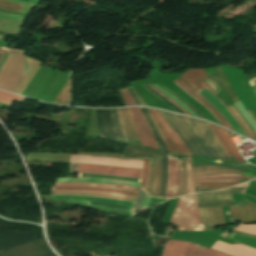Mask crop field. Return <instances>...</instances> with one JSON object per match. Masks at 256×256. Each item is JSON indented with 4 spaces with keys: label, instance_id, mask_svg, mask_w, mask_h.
I'll return each mask as SVG.
<instances>
[{
    "label": "crop field",
    "instance_id": "8a807250",
    "mask_svg": "<svg viewBox=\"0 0 256 256\" xmlns=\"http://www.w3.org/2000/svg\"><path fill=\"white\" fill-rule=\"evenodd\" d=\"M158 112L182 139L190 153L229 160L206 122L159 110Z\"/></svg>",
    "mask_w": 256,
    "mask_h": 256
},
{
    "label": "crop field",
    "instance_id": "ac0d7876",
    "mask_svg": "<svg viewBox=\"0 0 256 256\" xmlns=\"http://www.w3.org/2000/svg\"><path fill=\"white\" fill-rule=\"evenodd\" d=\"M34 63L23 54H9L0 71V89L14 93Z\"/></svg>",
    "mask_w": 256,
    "mask_h": 256
},
{
    "label": "crop field",
    "instance_id": "34b2d1b8",
    "mask_svg": "<svg viewBox=\"0 0 256 256\" xmlns=\"http://www.w3.org/2000/svg\"><path fill=\"white\" fill-rule=\"evenodd\" d=\"M170 222L179 226L178 230H204L196 204V194L180 197Z\"/></svg>",
    "mask_w": 256,
    "mask_h": 256
},
{
    "label": "crop field",
    "instance_id": "412701ff",
    "mask_svg": "<svg viewBox=\"0 0 256 256\" xmlns=\"http://www.w3.org/2000/svg\"><path fill=\"white\" fill-rule=\"evenodd\" d=\"M161 256H231L219 251H215L201 245L168 240Z\"/></svg>",
    "mask_w": 256,
    "mask_h": 256
},
{
    "label": "crop field",
    "instance_id": "f4fd0767",
    "mask_svg": "<svg viewBox=\"0 0 256 256\" xmlns=\"http://www.w3.org/2000/svg\"><path fill=\"white\" fill-rule=\"evenodd\" d=\"M74 164H70V172H74ZM75 171L86 172V173H98V174H108L115 176H126L141 178L142 170L131 169V168H117V167H106L100 165H89V164H79L75 165Z\"/></svg>",
    "mask_w": 256,
    "mask_h": 256
},
{
    "label": "crop field",
    "instance_id": "dd49c442",
    "mask_svg": "<svg viewBox=\"0 0 256 256\" xmlns=\"http://www.w3.org/2000/svg\"><path fill=\"white\" fill-rule=\"evenodd\" d=\"M55 199L89 202L92 205L111 207L132 211L134 203L117 199H105L97 197L53 195Z\"/></svg>",
    "mask_w": 256,
    "mask_h": 256
},
{
    "label": "crop field",
    "instance_id": "e52e79f7",
    "mask_svg": "<svg viewBox=\"0 0 256 256\" xmlns=\"http://www.w3.org/2000/svg\"><path fill=\"white\" fill-rule=\"evenodd\" d=\"M70 162L142 168V161H136V160H124V159H112V158H100V157L71 155Z\"/></svg>",
    "mask_w": 256,
    "mask_h": 256
},
{
    "label": "crop field",
    "instance_id": "d8731c3e",
    "mask_svg": "<svg viewBox=\"0 0 256 256\" xmlns=\"http://www.w3.org/2000/svg\"><path fill=\"white\" fill-rule=\"evenodd\" d=\"M139 135L140 143L143 146L156 147L153 135L140 110V108H130Z\"/></svg>",
    "mask_w": 256,
    "mask_h": 256
},
{
    "label": "crop field",
    "instance_id": "5a996713",
    "mask_svg": "<svg viewBox=\"0 0 256 256\" xmlns=\"http://www.w3.org/2000/svg\"><path fill=\"white\" fill-rule=\"evenodd\" d=\"M173 82L209 110L222 126L231 129L223 117L182 76Z\"/></svg>",
    "mask_w": 256,
    "mask_h": 256
},
{
    "label": "crop field",
    "instance_id": "3316defc",
    "mask_svg": "<svg viewBox=\"0 0 256 256\" xmlns=\"http://www.w3.org/2000/svg\"><path fill=\"white\" fill-rule=\"evenodd\" d=\"M202 223L206 230H214L215 226L225 225L222 207L198 208Z\"/></svg>",
    "mask_w": 256,
    "mask_h": 256
},
{
    "label": "crop field",
    "instance_id": "28ad6ade",
    "mask_svg": "<svg viewBox=\"0 0 256 256\" xmlns=\"http://www.w3.org/2000/svg\"><path fill=\"white\" fill-rule=\"evenodd\" d=\"M192 166H199V165H215V166H226L234 169H241L242 172L252 173L253 168L247 167H233L231 165H221L217 163H210L204 162L196 159L195 157H191ZM225 167H214V166H200V167H192L193 174L195 173H202V172H210V171H241V170H234Z\"/></svg>",
    "mask_w": 256,
    "mask_h": 256
},
{
    "label": "crop field",
    "instance_id": "d1516ede",
    "mask_svg": "<svg viewBox=\"0 0 256 256\" xmlns=\"http://www.w3.org/2000/svg\"><path fill=\"white\" fill-rule=\"evenodd\" d=\"M200 93L213 106H215L220 111V113L224 116V118L232 126V128L235 130V132L247 137V135L244 133V131L241 129V127L237 124V122L233 119V117L230 115V113L227 111V109L218 101V99L210 92V90L208 88L200 91Z\"/></svg>",
    "mask_w": 256,
    "mask_h": 256
},
{
    "label": "crop field",
    "instance_id": "22f410ed",
    "mask_svg": "<svg viewBox=\"0 0 256 256\" xmlns=\"http://www.w3.org/2000/svg\"><path fill=\"white\" fill-rule=\"evenodd\" d=\"M212 248L234 256H256V250L242 244L227 245L223 242L217 241Z\"/></svg>",
    "mask_w": 256,
    "mask_h": 256
},
{
    "label": "crop field",
    "instance_id": "cbeb9de0",
    "mask_svg": "<svg viewBox=\"0 0 256 256\" xmlns=\"http://www.w3.org/2000/svg\"><path fill=\"white\" fill-rule=\"evenodd\" d=\"M126 141L138 140L129 108L118 109Z\"/></svg>",
    "mask_w": 256,
    "mask_h": 256
},
{
    "label": "crop field",
    "instance_id": "5142ce71",
    "mask_svg": "<svg viewBox=\"0 0 256 256\" xmlns=\"http://www.w3.org/2000/svg\"><path fill=\"white\" fill-rule=\"evenodd\" d=\"M244 201L250 205L230 207L232 219H242V221L256 220V205L246 200Z\"/></svg>",
    "mask_w": 256,
    "mask_h": 256
},
{
    "label": "crop field",
    "instance_id": "d9b57169",
    "mask_svg": "<svg viewBox=\"0 0 256 256\" xmlns=\"http://www.w3.org/2000/svg\"><path fill=\"white\" fill-rule=\"evenodd\" d=\"M52 190H53V187H52ZM54 190H91V191L119 193V194L134 195V196H137V194H138L135 192H129V191H123V190L106 189V188H91V187H57V188H54ZM143 194H144V192L142 190H140L136 203L140 204ZM138 207H139V205L135 204L133 210L138 209ZM137 211L138 210L133 211V213H136Z\"/></svg>",
    "mask_w": 256,
    "mask_h": 256
},
{
    "label": "crop field",
    "instance_id": "733c2abd",
    "mask_svg": "<svg viewBox=\"0 0 256 256\" xmlns=\"http://www.w3.org/2000/svg\"><path fill=\"white\" fill-rule=\"evenodd\" d=\"M52 194L90 195V196L105 197V198H117L122 200L133 201V202H135L137 198L134 196L108 194V193H101V192H90V191H52Z\"/></svg>",
    "mask_w": 256,
    "mask_h": 256
},
{
    "label": "crop field",
    "instance_id": "4a817a6b",
    "mask_svg": "<svg viewBox=\"0 0 256 256\" xmlns=\"http://www.w3.org/2000/svg\"><path fill=\"white\" fill-rule=\"evenodd\" d=\"M147 111L149 112V114L151 115L154 123L156 124V126L158 127L171 155L173 156H180V152L178 151L176 145L174 144V142L172 141L171 137L169 136V134L167 133L166 129L164 128V126L158 121V119L156 118V116L153 114V112L151 111V109L146 108Z\"/></svg>",
    "mask_w": 256,
    "mask_h": 256
},
{
    "label": "crop field",
    "instance_id": "bc2a9ffb",
    "mask_svg": "<svg viewBox=\"0 0 256 256\" xmlns=\"http://www.w3.org/2000/svg\"><path fill=\"white\" fill-rule=\"evenodd\" d=\"M197 91L206 88L199 80L207 78L208 75L204 70H188L182 75Z\"/></svg>",
    "mask_w": 256,
    "mask_h": 256
},
{
    "label": "crop field",
    "instance_id": "214f88e0",
    "mask_svg": "<svg viewBox=\"0 0 256 256\" xmlns=\"http://www.w3.org/2000/svg\"><path fill=\"white\" fill-rule=\"evenodd\" d=\"M159 151L152 148H145V147H137L133 145L127 146L124 156H133V157H146V156H157L160 155Z\"/></svg>",
    "mask_w": 256,
    "mask_h": 256
},
{
    "label": "crop field",
    "instance_id": "92a150f3",
    "mask_svg": "<svg viewBox=\"0 0 256 256\" xmlns=\"http://www.w3.org/2000/svg\"><path fill=\"white\" fill-rule=\"evenodd\" d=\"M57 182H104L112 184H123L139 188V183L124 182L111 179H94V178H58Z\"/></svg>",
    "mask_w": 256,
    "mask_h": 256
},
{
    "label": "crop field",
    "instance_id": "dafd665d",
    "mask_svg": "<svg viewBox=\"0 0 256 256\" xmlns=\"http://www.w3.org/2000/svg\"><path fill=\"white\" fill-rule=\"evenodd\" d=\"M218 130V132L220 133V135L222 136V138L224 139L226 145L228 146L229 150L231 151L232 155L234 156L236 162H239V163H244L237 147L234 145L228 131L222 129V128H219L217 126H215Z\"/></svg>",
    "mask_w": 256,
    "mask_h": 256
},
{
    "label": "crop field",
    "instance_id": "00972430",
    "mask_svg": "<svg viewBox=\"0 0 256 256\" xmlns=\"http://www.w3.org/2000/svg\"><path fill=\"white\" fill-rule=\"evenodd\" d=\"M176 169V158L168 156V183L166 197H172L174 191V179Z\"/></svg>",
    "mask_w": 256,
    "mask_h": 256
},
{
    "label": "crop field",
    "instance_id": "a9b5d70f",
    "mask_svg": "<svg viewBox=\"0 0 256 256\" xmlns=\"http://www.w3.org/2000/svg\"><path fill=\"white\" fill-rule=\"evenodd\" d=\"M55 186H92V187H107V188H116V189H123L129 191L138 192V188H132L122 185H112V184H90V183H55Z\"/></svg>",
    "mask_w": 256,
    "mask_h": 256
},
{
    "label": "crop field",
    "instance_id": "4177f3b9",
    "mask_svg": "<svg viewBox=\"0 0 256 256\" xmlns=\"http://www.w3.org/2000/svg\"><path fill=\"white\" fill-rule=\"evenodd\" d=\"M153 111L156 113V115L159 117V119L164 124L165 128L170 133L171 137L173 138L175 144L177 145V147H178L179 151L182 153V155H184V156H191V154L189 153L187 147L182 143V141L177 137V135L171 130V128L165 123V121L158 114V112L156 110H154V109H153Z\"/></svg>",
    "mask_w": 256,
    "mask_h": 256
},
{
    "label": "crop field",
    "instance_id": "730fd06b",
    "mask_svg": "<svg viewBox=\"0 0 256 256\" xmlns=\"http://www.w3.org/2000/svg\"><path fill=\"white\" fill-rule=\"evenodd\" d=\"M238 181L226 182H194L195 188H226L237 184Z\"/></svg>",
    "mask_w": 256,
    "mask_h": 256
},
{
    "label": "crop field",
    "instance_id": "eef30255",
    "mask_svg": "<svg viewBox=\"0 0 256 256\" xmlns=\"http://www.w3.org/2000/svg\"><path fill=\"white\" fill-rule=\"evenodd\" d=\"M166 183H167V159L166 155L162 154V177L159 190V197H165L166 192Z\"/></svg>",
    "mask_w": 256,
    "mask_h": 256
},
{
    "label": "crop field",
    "instance_id": "ae1a2a85",
    "mask_svg": "<svg viewBox=\"0 0 256 256\" xmlns=\"http://www.w3.org/2000/svg\"><path fill=\"white\" fill-rule=\"evenodd\" d=\"M154 173H155V157H150L149 176H148V181L145 189V192L149 193L150 195H152V192H153Z\"/></svg>",
    "mask_w": 256,
    "mask_h": 256
},
{
    "label": "crop field",
    "instance_id": "d3111659",
    "mask_svg": "<svg viewBox=\"0 0 256 256\" xmlns=\"http://www.w3.org/2000/svg\"><path fill=\"white\" fill-rule=\"evenodd\" d=\"M202 82L218 97V99L223 103V105L229 110V112L234 116V118L238 121V123L241 125V127L243 128V130L246 132V134L248 135L249 138L253 139V137L251 136V134L249 133V131L247 130V128L244 126V124L242 123V121L239 119V117L233 112V110L225 103V101L220 97V95L218 93H216L212 87L205 81L202 80ZM254 140V139H253Z\"/></svg>",
    "mask_w": 256,
    "mask_h": 256
},
{
    "label": "crop field",
    "instance_id": "750c4746",
    "mask_svg": "<svg viewBox=\"0 0 256 256\" xmlns=\"http://www.w3.org/2000/svg\"><path fill=\"white\" fill-rule=\"evenodd\" d=\"M241 201H197L198 207L237 205Z\"/></svg>",
    "mask_w": 256,
    "mask_h": 256
},
{
    "label": "crop field",
    "instance_id": "bd1437ed",
    "mask_svg": "<svg viewBox=\"0 0 256 256\" xmlns=\"http://www.w3.org/2000/svg\"><path fill=\"white\" fill-rule=\"evenodd\" d=\"M251 177H237V176H212L193 179L194 181H226V180H236V179H250Z\"/></svg>",
    "mask_w": 256,
    "mask_h": 256
},
{
    "label": "crop field",
    "instance_id": "1d83c4d3",
    "mask_svg": "<svg viewBox=\"0 0 256 256\" xmlns=\"http://www.w3.org/2000/svg\"><path fill=\"white\" fill-rule=\"evenodd\" d=\"M187 190V176H186V157H182V178L180 196L185 195Z\"/></svg>",
    "mask_w": 256,
    "mask_h": 256
},
{
    "label": "crop field",
    "instance_id": "120bbe31",
    "mask_svg": "<svg viewBox=\"0 0 256 256\" xmlns=\"http://www.w3.org/2000/svg\"><path fill=\"white\" fill-rule=\"evenodd\" d=\"M160 171H161V155L156 157V175H155V186L153 196L158 195L159 183H160Z\"/></svg>",
    "mask_w": 256,
    "mask_h": 256
},
{
    "label": "crop field",
    "instance_id": "d32e631a",
    "mask_svg": "<svg viewBox=\"0 0 256 256\" xmlns=\"http://www.w3.org/2000/svg\"><path fill=\"white\" fill-rule=\"evenodd\" d=\"M197 200H232V194H228V195H197Z\"/></svg>",
    "mask_w": 256,
    "mask_h": 256
},
{
    "label": "crop field",
    "instance_id": "5866460e",
    "mask_svg": "<svg viewBox=\"0 0 256 256\" xmlns=\"http://www.w3.org/2000/svg\"><path fill=\"white\" fill-rule=\"evenodd\" d=\"M158 86H160L161 88H163L165 91H167L168 93H170L172 96H174L176 99H178L180 102H182L183 104H185L192 112H194L199 118L204 119L199 112L193 107L191 106L188 102L184 101L183 99H181L179 96H177L175 93H173L171 90H169L168 88H166L165 86L161 85V84H157Z\"/></svg>",
    "mask_w": 256,
    "mask_h": 256
},
{
    "label": "crop field",
    "instance_id": "028f5c9d",
    "mask_svg": "<svg viewBox=\"0 0 256 256\" xmlns=\"http://www.w3.org/2000/svg\"><path fill=\"white\" fill-rule=\"evenodd\" d=\"M78 177L112 178V179H121V180L137 181V182L140 181L134 178L114 177V176H108V175L84 174V173H78Z\"/></svg>",
    "mask_w": 256,
    "mask_h": 256
},
{
    "label": "crop field",
    "instance_id": "e1f06a70",
    "mask_svg": "<svg viewBox=\"0 0 256 256\" xmlns=\"http://www.w3.org/2000/svg\"><path fill=\"white\" fill-rule=\"evenodd\" d=\"M180 176H181V157L177 158V170H176V179H175V192H174V196L173 197H176L179 194Z\"/></svg>",
    "mask_w": 256,
    "mask_h": 256
},
{
    "label": "crop field",
    "instance_id": "0bd39190",
    "mask_svg": "<svg viewBox=\"0 0 256 256\" xmlns=\"http://www.w3.org/2000/svg\"><path fill=\"white\" fill-rule=\"evenodd\" d=\"M13 99L20 101L23 98L19 97V96H16L14 94H10V93L0 91V102L11 104Z\"/></svg>",
    "mask_w": 256,
    "mask_h": 256
},
{
    "label": "crop field",
    "instance_id": "b80d0937",
    "mask_svg": "<svg viewBox=\"0 0 256 256\" xmlns=\"http://www.w3.org/2000/svg\"><path fill=\"white\" fill-rule=\"evenodd\" d=\"M210 175H238V176H250V174H244L240 172H210V173H202V174H195L193 175L194 178L196 177H204Z\"/></svg>",
    "mask_w": 256,
    "mask_h": 256
},
{
    "label": "crop field",
    "instance_id": "c035e120",
    "mask_svg": "<svg viewBox=\"0 0 256 256\" xmlns=\"http://www.w3.org/2000/svg\"><path fill=\"white\" fill-rule=\"evenodd\" d=\"M187 169H188V191L187 194L194 192V185L192 180V171H191V163L190 157H187Z\"/></svg>",
    "mask_w": 256,
    "mask_h": 256
},
{
    "label": "crop field",
    "instance_id": "c21b1889",
    "mask_svg": "<svg viewBox=\"0 0 256 256\" xmlns=\"http://www.w3.org/2000/svg\"><path fill=\"white\" fill-rule=\"evenodd\" d=\"M254 226H256V224H254ZM254 226L240 224L236 228H234V230L256 234V227H254Z\"/></svg>",
    "mask_w": 256,
    "mask_h": 256
},
{
    "label": "crop field",
    "instance_id": "03da06ac",
    "mask_svg": "<svg viewBox=\"0 0 256 256\" xmlns=\"http://www.w3.org/2000/svg\"><path fill=\"white\" fill-rule=\"evenodd\" d=\"M123 99H124V102H125V105H136L134 100L131 98L130 94L128 93L127 89H121L119 90Z\"/></svg>",
    "mask_w": 256,
    "mask_h": 256
},
{
    "label": "crop field",
    "instance_id": "b54c1fbb",
    "mask_svg": "<svg viewBox=\"0 0 256 256\" xmlns=\"http://www.w3.org/2000/svg\"><path fill=\"white\" fill-rule=\"evenodd\" d=\"M240 188H227L218 191H212L207 193H200V194H227V193H239Z\"/></svg>",
    "mask_w": 256,
    "mask_h": 256
},
{
    "label": "crop field",
    "instance_id": "5d738f31",
    "mask_svg": "<svg viewBox=\"0 0 256 256\" xmlns=\"http://www.w3.org/2000/svg\"><path fill=\"white\" fill-rule=\"evenodd\" d=\"M147 158H149V157H147ZM148 161H149V159H144L143 178H142V183H141V187L143 190L145 189L147 176H148Z\"/></svg>",
    "mask_w": 256,
    "mask_h": 256
},
{
    "label": "crop field",
    "instance_id": "d23c7cc5",
    "mask_svg": "<svg viewBox=\"0 0 256 256\" xmlns=\"http://www.w3.org/2000/svg\"><path fill=\"white\" fill-rule=\"evenodd\" d=\"M151 88H153L154 90H156L158 93H160L163 97H165L168 101H170L171 103H173L175 106H177L181 111H183L186 115L192 116L190 115L185 109H183L178 103H176L175 101H173L171 98H169L167 95H165L163 92L159 91L158 89H156L155 87L149 85Z\"/></svg>",
    "mask_w": 256,
    "mask_h": 256
},
{
    "label": "crop field",
    "instance_id": "425ffa30",
    "mask_svg": "<svg viewBox=\"0 0 256 256\" xmlns=\"http://www.w3.org/2000/svg\"><path fill=\"white\" fill-rule=\"evenodd\" d=\"M207 124L210 126V128L212 129V131L215 133V135L217 136V138L220 140V142H221V144L223 145L224 149L226 150L228 156L230 157L231 154H230V152H229L227 146L225 145L223 139L219 136V134L217 133V131L215 130V128L213 127V125H211V124H209V123H207Z\"/></svg>",
    "mask_w": 256,
    "mask_h": 256
},
{
    "label": "crop field",
    "instance_id": "25e5ab78",
    "mask_svg": "<svg viewBox=\"0 0 256 256\" xmlns=\"http://www.w3.org/2000/svg\"><path fill=\"white\" fill-rule=\"evenodd\" d=\"M230 239H233V240L238 241L242 244H246V245H249V246H252V247L256 248V243H253V242H250V241H247V240H244V239L232 236V235L230 236Z\"/></svg>",
    "mask_w": 256,
    "mask_h": 256
},
{
    "label": "crop field",
    "instance_id": "73cf0c24",
    "mask_svg": "<svg viewBox=\"0 0 256 256\" xmlns=\"http://www.w3.org/2000/svg\"><path fill=\"white\" fill-rule=\"evenodd\" d=\"M0 53H2L1 56H0V60H1L5 53H23V50L0 48Z\"/></svg>",
    "mask_w": 256,
    "mask_h": 256
},
{
    "label": "crop field",
    "instance_id": "89e229c0",
    "mask_svg": "<svg viewBox=\"0 0 256 256\" xmlns=\"http://www.w3.org/2000/svg\"><path fill=\"white\" fill-rule=\"evenodd\" d=\"M150 199H151V196H149V195H147V194H144V197H143V199H142L140 208L145 207V206H148V205H149V202H150ZM140 208H139V209H140Z\"/></svg>",
    "mask_w": 256,
    "mask_h": 256
},
{
    "label": "crop field",
    "instance_id": "1f2cbd36",
    "mask_svg": "<svg viewBox=\"0 0 256 256\" xmlns=\"http://www.w3.org/2000/svg\"><path fill=\"white\" fill-rule=\"evenodd\" d=\"M153 86H155L156 88H158L159 90L163 91L164 93H166L167 95H169L171 98H173L175 101H177L181 106H183L184 108H186L194 117H197L196 115H194L185 105H183L182 103H180L178 100H176L174 97H172L170 94H168L167 92H165L164 90H162L160 87H158L155 84H152ZM198 118V117H197Z\"/></svg>",
    "mask_w": 256,
    "mask_h": 256
},
{
    "label": "crop field",
    "instance_id": "dbb93151",
    "mask_svg": "<svg viewBox=\"0 0 256 256\" xmlns=\"http://www.w3.org/2000/svg\"><path fill=\"white\" fill-rule=\"evenodd\" d=\"M250 85L252 86L253 90L256 93V78L249 80Z\"/></svg>",
    "mask_w": 256,
    "mask_h": 256
},
{
    "label": "crop field",
    "instance_id": "0fb4a251",
    "mask_svg": "<svg viewBox=\"0 0 256 256\" xmlns=\"http://www.w3.org/2000/svg\"><path fill=\"white\" fill-rule=\"evenodd\" d=\"M232 235H235V236H238V237H241V238H244V239H247V240H250V241L256 242V239H253V238L244 237V236L236 235V234H233V233H232Z\"/></svg>",
    "mask_w": 256,
    "mask_h": 256
},
{
    "label": "crop field",
    "instance_id": "1d79db26",
    "mask_svg": "<svg viewBox=\"0 0 256 256\" xmlns=\"http://www.w3.org/2000/svg\"><path fill=\"white\" fill-rule=\"evenodd\" d=\"M234 233H239V234H243V235H246V236H249V237H253V238H256L255 235H251V234H246V233H242V232H236V231H233Z\"/></svg>",
    "mask_w": 256,
    "mask_h": 256
},
{
    "label": "crop field",
    "instance_id": "9d1cf04e",
    "mask_svg": "<svg viewBox=\"0 0 256 256\" xmlns=\"http://www.w3.org/2000/svg\"><path fill=\"white\" fill-rule=\"evenodd\" d=\"M209 190H215V189H195V192H199V191H209Z\"/></svg>",
    "mask_w": 256,
    "mask_h": 256
},
{
    "label": "crop field",
    "instance_id": "447ae74e",
    "mask_svg": "<svg viewBox=\"0 0 256 256\" xmlns=\"http://www.w3.org/2000/svg\"><path fill=\"white\" fill-rule=\"evenodd\" d=\"M250 115L252 116L253 120L256 122V117L253 115V113L251 112V110H249Z\"/></svg>",
    "mask_w": 256,
    "mask_h": 256
},
{
    "label": "crop field",
    "instance_id": "0765c3eb",
    "mask_svg": "<svg viewBox=\"0 0 256 256\" xmlns=\"http://www.w3.org/2000/svg\"><path fill=\"white\" fill-rule=\"evenodd\" d=\"M230 159L232 161L233 166H237V164H236L235 160L233 159V157H231Z\"/></svg>",
    "mask_w": 256,
    "mask_h": 256
},
{
    "label": "crop field",
    "instance_id": "db79e9e6",
    "mask_svg": "<svg viewBox=\"0 0 256 256\" xmlns=\"http://www.w3.org/2000/svg\"><path fill=\"white\" fill-rule=\"evenodd\" d=\"M239 205H246V203L243 201L242 203H240Z\"/></svg>",
    "mask_w": 256,
    "mask_h": 256
},
{
    "label": "crop field",
    "instance_id": "7b73153f",
    "mask_svg": "<svg viewBox=\"0 0 256 256\" xmlns=\"http://www.w3.org/2000/svg\"><path fill=\"white\" fill-rule=\"evenodd\" d=\"M3 39V36H0V40H2Z\"/></svg>",
    "mask_w": 256,
    "mask_h": 256
}]
</instances>
